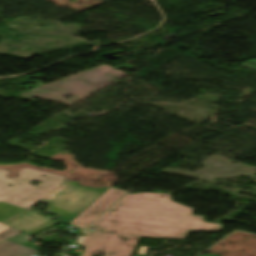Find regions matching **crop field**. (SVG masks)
<instances>
[{"instance_id":"crop-field-1","label":"crop field","mask_w":256,"mask_h":256,"mask_svg":"<svg viewBox=\"0 0 256 256\" xmlns=\"http://www.w3.org/2000/svg\"><path fill=\"white\" fill-rule=\"evenodd\" d=\"M193 210L173 202L171 195L128 193L89 228L166 239H186L188 232L194 231L222 230L221 224L205 223L203 216H192Z\"/></svg>"},{"instance_id":"crop-field-2","label":"crop field","mask_w":256,"mask_h":256,"mask_svg":"<svg viewBox=\"0 0 256 256\" xmlns=\"http://www.w3.org/2000/svg\"><path fill=\"white\" fill-rule=\"evenodd\" d=\"M8 173V171L0 169V200L25 208L30 207L65 178L29 168L20 171V178L16 179L6 177ZM42 175H45V177L43 178ZM32 180H42L43 182L34 186L29 183Z\"/></svg>"},{"instance_id":"crop-field-3","label":"crop field","mask_w":256,"mask_h":256,"mask_svg":"<svg viewBox=\"0 0 256 256\" xmlns=\"http://www.w3.org/2000/svg\"><path fill=\"white\" fill-rule=\"evenodd\" d=\"M109 188L79 187L76 182L65 180L40 201L50 203L46 212L66 219L61 220L64 223H70Z\"/></svg>"},{"instance_id":"crop-field-4","label":"crop field","mask_w":256,"mask_h":256,"mask_svg":"<svg viewBox=\"0 0 256 256\" xmlns=\"http://www.w3.org/2000/svg\"><path fill=\"white\" fill-rule=\"evenodd\" d=\"M78 243L86 247L83 256L104 253V256H131L139 237L108 234L100 232H83Z\"/></svg>"},{"instance_id":"crop-field-5","label":"crop field","mask_w":256,"mask_h":256,"mask_svg":"<svg viewBox=\"0 0 256 256\" xmlns=\"http://www.w3.org/2000/svg\"><path fill=\"white\" fill-rule=\"evenodd\" d=\"M125 193L126 191L111 187L75 220H73L71 224L84 229Z\"/></svg>"},{"instance_id":"crop-field-6","label":"crop field","mask_w":256,"mask_h":256,"mask_svg":"<svg viewBox=\"0 0 256 256\" xmlns=\"http://www.w3.org/2000/svg\"><path fill=\"white\" fill-rule=\"evenodd\" d=\"M13 218H17V220L12 221ZM13 218L3 223L30 235L57 224L49 218L28 211Z\"/></svg>"},{"instance_id":"crop-field-7","label":"crop field","mask_w":256,"mask_h":256,"mask_svg":"<svg viewBox=\"0 0 256 256\" xmlns=\"http://www.w3.org/2000/svg\"><path fill=\"white\" fill-rule=\"evenodd\" d=\"M35 253H37V250L24 247L9 241L0 245V256H31Z\"/></svg>"},{"instance_id":"crop-field-8","label":"crop field","mask_w":256,"mask_h":256,"mask_svg":"<svg viewBox=\"0 0 256 256\" xmlns=\"http://www.w3.org/2000/svg\"><path fill=\"white\" fill-rule=\"evenodd\" d=\"M23 211L25 210L22 208L6 203H0V222H3Z\"/></svg>"},{"instance_id":"crop-field-9","label":"crop field","mask_w":256,"mask_h":256,"mask_svg":"<svg viewBox=\"0 0 256 256\" xmlns=\"http://www.w3.org/2000/svg\"><path fill=\"white\" fill-rule=\"evenodd\" d=\"M18 232H20V231L11 228V229H9V230H7V231L1 233V234H0V242L3 241V240H5L6 238H8V237H10V236H12V235L18 233ZM20 233H21V232H20ZM18 234H19V233H18ZM16 235H17V234H16ZM14 236H15V235H14ZM12 237H13V236H12ZM10 238H11V237H10ZM8 239H9V238H8ZM6 240H7V239H6Z\"/></svg>"},{"instance_id":"crop-field-10","label":"crop field","mask_w":256,"mask_h":256,"mask_svg":"<svg viewBox=\"0 0 256 256\" xmlns=\"http://www.w3.org/2000/svg\"><path fill=\"white\" fill-rule=\"evenodd\" d=\"M8 228H10V227H8V226H6V225L0 223V232L6 230V229H8Z\"/></svg>"}]
</instances>
